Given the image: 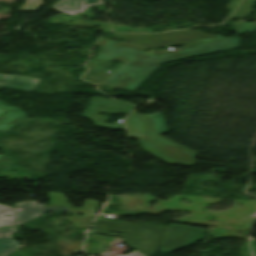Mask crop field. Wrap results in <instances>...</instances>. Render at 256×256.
<instances>
[{"label": "crop field", "instance_id": "1", "mask_svg": "<svg viewBox=\"0 0 256 256\" xmlns=\"http://www.w3.org/2000/svg\"><path fill=\"white\" fill-rule=\"evenodd\" d=\"M44 211H70V210L68 207L44 206L43 204H38L37 201L15 204V208H14L15 227L30 219H33L43 214ZM15 227L0 229V238L11 239V233L17 232Z\"/></svg>", "mask_w": 256, "mask_h": 256}, {"label": "crop field", "instance_id": "2", "mask_svg": "<svg viewBox=\"0 0 256 256\" xmlns=\"http://www.w3.org/2000/svg\"><path fill=\"white\" fill-rule=\"evenodd\" d=\"M7 104L0 101V107L8 110L6 113L0 116V131H11L20 123L29 119L27 115L20 111L18 108L11 107ZM1 161H13V159L12 157L0 155V162Z\"/></svg>", "mask_w": 256, "mask_h": 256}, {"label": "crop field", "instance_id": "3", "mask_svg": "<svg viewBox=\"0 0 256 256\" xmlns=\"http://www.w3.org/2000/svg\"><path fill=\"white\" fill-rule=\"evenodd\" d=\"M104 0H59L52 8L75 16L77 12H83L88 6L100 5Z\"/></svg>", "mask_w": 256, "mask_h": 256}, {"label": "crop field", "instance_id": "4", "mask_svg": "<svg viewBox=\"0 0 256 256\" xmlns=\"http://www.w3.org/2000/svg\"><path fill=\"white\" fill-rule=\"evenodd\" d=\"M38 78H28L17 75H0L1 87H12L21 90L33 91L39 83Z\"/></svg>", "mask_w": 256, "mask_h": 256}, {"label": "crop field", "instance_id": "5", "mask_svg": "<svg viewBox=\"0 0 256 256\" xmlns=\"http://www.w3.org/2000/svg\"><path fill=\"white\" fill-rule=\"evenodd\" d=\"M11 214L10 217H5ZM14 226L13 208L0 204V228Z\"/></svg>", "mask_w": 256, "mask_h": 256}, {"label": "crop field", "instance_id": "6", "mask_svg": "<svg viewBox=\"0 0 256 256\" xmlns=\"http://www.w3.org/2000/svg\"><path fill=\"white\" fill-rule=\"evenodd\" d=\"M21 245L15 240L0 239V256H8L16 251Z\"/></svg>", "mask_w": 256, "mask_h": 256}, {"label": "crop field", "instance_id": "7", "mask_svg": "<svg viewBox=\"0 0 256 256\" xmlns=\"http://www.w3.org/2000/svg\"><path fill=\"white\" fill-rule=\"evenodd\" d=\"M41 2L42 0H26L18 11L34 10Z\"/></svg>", "mask_w": 256, "mask_h": 256}, {"label": "crop field", "instance_id": "8", "mask_svg": "<svg viewBox=\"0 0 256 256\" xmlns=\"http://www.w3.org/2000/svg\"><path fill=\"white\" fill-rule=\"evenodd\" d=\"M4 111H5V110H3V109L0 108V114H2Z\"/></svg>", "mask_w": 256, "mask_h": 256}]
</instances>
